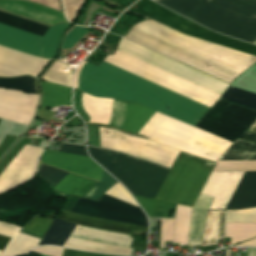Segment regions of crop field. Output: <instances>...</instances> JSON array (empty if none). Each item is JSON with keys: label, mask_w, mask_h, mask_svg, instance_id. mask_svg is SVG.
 <instances>
[{"label": "crop field", "mask_w": 256, "mask_h": 256, "mask_svg": "<svg viewBox=\"0 0 256 256\" xmlns=\"http://www.w3.org/2000/svg\"><path fill=\"white\" fill-rule=\"evenodd\" d=\"M134 196V195H133ZM145 210L147 216L168 217L170 210L175 211L176 205L143 197L134 196Z\"/></svg>", "instance_id": "obj_26"}, {"label": "crop field", "mask_w": 256, "mask_h": 256, "mask_svg": "<svg viewBox=\"0 0 256 256\" xmlns=\"http://www.w3.org/2000/svg\"><path fill=\"white\" fill-rule=\"evenodd\" d=\"M63 256H113V255L85 253V252H78V251H72V250L65 249Z\"/></svg>", "instance_id": "obj_37"}, {"label": "crop field", "mask_w": 256, "mask_h": 256, "mask_svg": "<svg viewBox=\"0 0 256 256\" xmlns=\"http://www.w3.org/2000/svg\"><path fill=\"white\" fill-rule=\"evenodd\" d=\"M135 5L139 6V9H134V5L131 6L126 12L135 14L144 19L152 18L180 33L190 35L196 38H200L209 42H213L219 45H223L232 49H236L242 52H246L252 55H256V46L227 38L221 34L211 32L189 20H186L171 11L149 1L140 0Z\"/></svg>", "instance_id": "obj_9"}, {"label": "crop field", "mask_w": 256, "mask_h": 256, "mask_svg": "<svg viewBox=\"0 0 256 256\" xmlns=\"http://www.w3.org/2000/svg\"><path fill=\"white\" fill-rule=\"evenodd\" d=\"M247 256H256V249L248 248Z\"/></svg>", "instance_id": "obj_42"}, {"label": "crop field", "mask_w": 256, "mask_h": 256, "mask_svg": "<svg viewBox=\"0 0 256 256\" xmlns=\"http://www.w3.org/2000/svg\"><path fill=\"white\" fill-rule=\"evenodd\" d=\"M37 101L38 95L0 89V118L28 125Z\"/></svg>", "instance_id": "obj_15"}, {"label": "crop field", "mask_w": 256, "mask_h": 256, "mask_svg": "<svg viewBox=\"0 0 256 256\" xmlns=\"http://www.w3.org/2000/svg\"><path fill=\"white\" fill-rule=\"evenodd\" d=\"M174 219H161L160 248L164 241H172Z\"/></svg>", "instance_id": "obj_34"}, {"label": "crop field", "mask_w": 256, "mask_h": 256, "mask_svg": "<svg viewBox=\"0 0 256 256\" xmlns=\"http://www.w3.org/2000/svg\"><path fill=\"white\" fill-rule=\"evenodd\" d=\"M236 246H251V247H256V238L251 239V240H249V241H246V242L241 243V244L236 245Z\"/></svg>", "instance_id": "obj_40"}, {"label": "crop field", "mask_w": 256, "mask_h": 256, "mask_svg": "<svg viewBox=\"0 0 256 256\" xmlns=\"http://www.w3.org/2000/svg\"><path fill=\"white\" fill-rule=\"evenodd\" d=\"M42 162L51 166L63 169L78 175L100 180L103 169L96 165L90 158L75 155L51 152L45 150L42 155ZM56 170L42 164L39 175L44 181ZM85 178L56 170L45 182L54 188L62 196H69L78 188ZM117 181L107 172H103L101 180L97 181L86 179L73 195L83 197L96 183V185L84 196L85 198L96 200L106 190Z\"/></svg>", "instance_id": "obj_5"}, {"label": "crop field", "mask_w": 256, "mask_h": 256, "mask_svg": "<svg viewBox=\"0 0 256 256\" xmlns=\"http://www.w3.org/2000/svg\"><path fill=\"white\" fill-rule=\"evenodd\" d=\"M50 224L51 221L36 215L31 222L23 230H21V233L42 239ZM74 227L75 224L55 219L41 240L39 246L45 244L62 246ZM63 246L78 250L96 251L126 256H129L132 250L71 237H68Z\"/></svg>", "instance_id": "obj_10"}, {"label": "crop field", "mask_w": 256, "mask_h": 256, "mask_svg": "<svg viewBox=\"0 0 256 256\" xmlns=\"http://www.w3.org/2000/svg\"><path fill=\"white\" fill-rule=\"evenodd\" d=\"M43 152L26 145L0 175V194L28 181L34 175L38 157Z\"/></svg>", "instance_id": "obj_14"}, {"label": "crop field", "mask_w": 256, "mask_h": 256, "mask_svg": "<svg viewBox=\"0 0 256 256\" xmlns=\"http://www.w3.org/2000/svg\"><path fill=\"white\" fill-rule=\"evenodd\" d=\"M192 208L177 205L173 243L187 245Z\"/></svg>", "instance_id": "obj_21"}, {"label": "crop field", "mask_w": 256, "mask_h": 256, "mask_svg": "<svg viewBox=\"0 0 256 256\" xmlns=\"http://www.w3.org/2000/svg\"><path fill=\"white\" fill-rule=\"evenodd\" d=\"M256 171V161H217L212 172Z\"/></svg>", "instance_id": "obj_29"}, {"label": "crop field", "mask_w": 256, "mask_h": 256, "mask_svg": "<svg viewBox=\"0 0 256 256\" xmlns=\"http://www.w3.org/2000/svg\"><path fill=\"white\" fill-rule=\"evenodd\" d=\"M218 33L252 43L256 38V0H155ZM253 44L256 45V39Z\"/></svg>", "instance_id": "obj_3"}, {"label": "crop field", "mask_w": 256, "mask_h": 256, "mask_svg": "<svg viewBox=\"0 0 256 256\" xmlns=\"http://www.w3.org/2000/svg\"><path fill=\"white\" fill-rule=\"evenodd\" d=\"M226 222L256 223V208L240 211H226Z\"/></svg>", "instance_id": "obj_31"}, {"label": "crop field", "mask_w": 256, "mask_h": 256, "mask_svg": "<svg viewBox=\"0 0 256 256\" xmlns=\"http://www.w3.org/2000/svg\"><path fill=\"white\" fill-rule=\"evenodd\" d=\"M42 91V105L44 108H53L59 105H71V92L69 88L60 85L40 82Z\"/></svg>", "instance_id": "obj_19"}, {"label": "crop field", "mask_w": 256, "mask_h": 256, "mask_svg": "<svg viewBox=\"0 0 256 256\" xmlns=\"http://www.w3.org/2000/svg\"><path fill=\"white\" fill-rule=\"evenodd\" d=\"M117 51L215 92L219 95L228 84L177 63L149 49L122 38ZM105 61L143 77L171 91L211 107L219 95L128 57L119 52ZM104 61V62H105ZM256 121V111L218 99L195 127L234 142Z\"/></svg>", "instance_id": "obj_1"}, {"label": "crop field", "mask_w": 256, "mask_h": 256, "mask_svg": "<svg viewBox=\"0 0 256 256\" xmlns=\"http://www.w3.org/2000/svg\"><path fill=\"white\" fill-rule=\"evenodd\" d=\"M49 61L50 60L41 59L29 54L0 46V64L7 65L32 74L38 75ZM3 65H0V76L13 77L23 74L32 75ZM36 75L32 76L36 77Z\"/></svg>", "instance_id": "obj_16"}, {"label": "crop field", "mask_w": 256, "mask_h": 256, "mask_svg": "<svg viewBox=\"0 0 256 256\" xmlns=\"http://www.w3.org/2000/svg\"><path fill=\"white\" fill-rule=\"evenodd\" d=\"M60 152L87 156L85 146H73V145L64 144Z\"/></svg>", "instance_id": "obj_36"}, {"label": "crop field", "mask_w": 256, "mask_h": 256, "mask_svg": "<svg viewBox=\"0 0 256 256\" xmlns=\"http://www.w3.org/2000/svg\"><path fill=\"white\" fill-rule=\"evenodd\" d=\"M130 33L166 50L242 73L256 57L180 34L151 19L134 25Z\"/></svg>", "instance_id": "obj_4"}, {"label": "crop field", "mask_w": 256, "mask_h": 256, "mask_svg": "<svg viewBox=\"0 0 256 256\" xmlns=\"http://www.w3.org/2000/svg\"><path fill=\"white\" fill-rule=\"evenodd\" d=\"M8 241H9V238L0 236V250L1 251L5 247V245L7 244Z\"/></svg>", "instance_id": "obj_41"}, {"label": "crop field", "mask_w": 256, "mask_h": 256, "mask_svg": "<svg viewBox=\"0 0 256 256\" xmlns=\"http://www.w3.org/2000/svg\"><path fill=\"white\" fill-rule=\"evenodd\" d=\"M105 193L139 207L136 202L131 198V196L127 193L124 187L118 182Z\"/></svg>", "instance_id": "obj_33"}, {"label": "crop field", "mask_w": 256, "mask_h": 256, "mask_svg": "<svg viewBox=\"0 0 256 256\" xmlns=\"http://www.w3.org/2000/svg\"><path fill=\"white\" fill-rule=\"evenodd\" d=\"M100 1H102V0H100ZM126 1L130 2L131 0H126Z\"/></svg>", "instance_id": "obj_44"}, {"label": "crop field", "mask_w": 256, "mask_h": 256, "mask_svg": "<svg viewBox=\"0 0 256 256\" xmlns=\"http://www.w3.org/2000/svg\"><path fill=\"white\" fill-rule=\"evenodd\" d=\"M80 105L88 117V122H97L109 125L112 115V100L95 98L81 92ZM153 110L138 104L125 102L124 116L121 129L136 133Z\"/></svg>", "instance_id": "obj_12"}, {"label": "crop field", "mask_w": 256, "mask_h": 256, "mask_svg": "<svg viewBox=\"0 0 256 256\" xmlns=\"http://www.w3.org/2000/svg\"><path fill=\"white\" fill-rule=\"evenodd\" d=\"M87 32V30L75 26L66 36L61 49L74 48L77 41Z\"/></svg>", "instance_id": "obj_32"}, {"label": "crop field", "mask_w": 256, "mask_h": 256, "mask_svg": "<svg viewBox=\"0 0 256 256\" xmlns=\"http://www.w3.org/2000/svg\"><path fill=\"white\" fill-rule=\"evenodd\" d=\"M70 211L91 217L148 226L146 216L141 209L105 194L96 202L79 198Z\"/></svg>", "instance_id": "obj_13"}, {"label": "crop field", "mask_w": 256, "mask_h": 256, "mask_svg": "<svg viewBox=\"0 0 256 256\" xmlns=\"http://www.w3.org/2000/svg\"><path fill=\"white\" fill-rule=\"evenodd\" d=\"M0 23L43 37L48 27L0 12Z\"/></svg>", "instance_id": "obj_23"}, {"label": "crop field", "mask_w": 256, "mask_h": 256, "mask_svg": "<svg viewBox=\"0 0 256 256\" xmlns=\"http://www.w3.org/2000/svg\"><path fill=\"white\" fill-rule=\"evenodd\" d=\"M32 1L46 5L50 8H53V9L59 11L57 0H32Z\"/></svg>", "instance_id": "obj_38"}, {"label": "crop field", "mask_w": 256, "mask_h": 256, "mask_svg": "<svg viewBox=\"0 0 256 256\" xmlns=\"http://www.w3.org/2000/svg\"><path fill=\"white\" fill-rule=\"evenodd\" d=\"M68 24H58L49 28L43 37L42 57L52 59L59 39Z\"/></svg>", "instance_id": "obj_25"}, {"label": "crop field", "mask_w": 256, "mask_h": 256, "mask_svg": "<svg viewBox=\"0 0 256 256\" xmlns=\"http://www.w3.org/2000/svg\"><path fill=\"white\" fill-rule=\"evenodd\" d=\"M0 45L41 57V37L1 24Z\"/></svg>", "instance_id": "obj_17"}, {"label": "crop field", "mask_w": 256, "mask_h": 256, "mask_svg": "<svg viewBox=\"0 0 256 256\" xmlns=\"http://www.w3.org/2000/svg\"><path fill=\"white\" fill-rule=\"evenodd\" d=\"M66 18L72 21L84 0H62Z\"/></svg>", "instance_id": "obj_35"}, {"label": "crop field", "mask_w": 256, "mask_h": 256, "mask_svg": "<svg viewBox=\"0 0 256 256\" xmlns=\"http://www.w3.org/2000/svg\"><path fill=\"white\" fill-rule=\"evenodd\" d=\"M58 219H62L79 225L104 229L128 235H130L132 228V225L130 224L91 218L63 210H61ZM79 225H77L73 232L70 234L71 237L102 242L127 248L130 247V244L132 242V239L129 238L128 235L103 231Z\"/></svg>", "instance_id": "obj_11"}, {"label": "crop field", "mask_w": 256, "mask_h": 256, "mask_svg": "<svg viewBox=\"0 0 256 256\" xmlns=\"http://www.w3.org/2000/svg\"><path fill=\"white\" fill-rule=\"evenodd\" d=\"M224 229V211H208L202 246L216 245V240L223 237Z\"/></svg>", "instance_id": "obj_20"}, {"label": "crop field", "mask_w": 256, "mask_h": 256, "mask_svg": "<svg viewBox=\"0 0 256 256\" xmlns=\"http://www.w3.org/2000/svg\"><path fill=\"white\" fill-rule=\"evenodd\" d=\"M0 87L36 94L33 78L29 76L0 78Z\"/></svg>", "instance_id": "obj_28"}, {"label": "crop field", "mask_w": 256, "mask_h": 256, "mask_svg": "<svg viewBox=\"0 0 256 256\" xmlns=\"http://www.w3.org/2000/svg\"><path fill=\"white\" fill-rule=\"evenodd\" d=\"M213 165L180 152L156 199L192 207Z\"/></svg>", "instance_id": "obj_7"}, {"label": "crop field", "mask_w": 256, "mask_h": 256, "mask_svg": "<svg viewBox=\"0 0 256 256\" xmlns=\"http://www.w3.org/2000/svg\"><path fill=\"white\" fill-rule=\"evenodd\" d=\"M225 256H230V250H226V255Z\"/></svg>", "instance_id": "obj_43"}, {"label": "crop field", "mask_w": 256, "mask_h": 256, "mask_svg": "<svg viewBox=\"0 0 256 256\" xmlns=\"http://www.w3.org/2000/svg\"><path fill=\"white\" fill-rule=\"evenodd\" d=\"M61 62L55 61L53 65L45 72L42 80L72 87V77L55 70Z\"/></svg>", "instance_id": "obj_30"}, {"label": "crop field", "mask_w": 256, "mask_h": 256, "mask_svg": "<svg viewBox=\"0 0 256 256\" xmlns=\"http://www.w3.org/2000/svg\"><path fill=\"white\" fill-rule=\"evenodd\" d=\"M241 139L256 142V133H245Z\"/></svg>", "instance_id": "obj_39"}, {"label": "crop field", "mask_w": 256, "mask_h": 256, "mask_svg": "<svg viewBox=\"0 0 256 256\" xmlns=\"http://www.w3.org/2000/svg\"><path fill=\"white\" fill-rule=\"evenodd\" d=\"M256 236V224L226 223L225 237H231V245Z\"/></svg>", "instance_id": "obj_24"}, {"label": "crop field", "mask_w": 256, "mask_h": 256, "mask_svg": "<svg viewBox=\"0 0 256 256\" xmlns=\"http://www.w3.org/2000/svg\"><path fill=\"white\" fill-rule=\"evenodd\" d=\"M243 172L210 173L201 194L215 197L210 209H225ZM256 206V172H244L226 209Z\"/></svg>", "instance_id": "obj_8"}, {"label": "crop field", "mask_w": 256, "mask_h": 256, "mask_svg": "<svg viewBox=\"0 0 256 256\" xmlns=\"http://www.w3.org/2000/svg\"><path fill=\"white\" fill-rule=\"evenodd\" d=\"M90 156L114 175L132 194L154 199L169 169L131 156L88 147Z\"/></svg>", "instance_id": "obj_6"}, {"label": "crop field", "mask_w": 256, "mask_h": 256, "mask_svg": "<svg viewBox=\"0 0 256 256\" xmlns=\"http://www.w3.org/2000/svg\"><path fill=\"white\" fill-rule=\"evenodd\" d=\"M218 160H256V145L237 139Z\"/></svg>", "instance_id": "obj_22"}, {"label": "crop field", "mask_w": 256, "mask_h": 256, "mask_svg": "<svg viewBox=\"0 0 256 256\" xmlns=\"http://www.w3.org/2000/svg\"><path fill=\"white\" fill-rule=\"evenodd\" d=\"M19 227L0 221V235L11 238L0 256L22 254L35 248L40 240L18 233Z\"/></svg>", "instance_id": "obj_18"}, {"label": "crop field", "mask_w": 256, "mask_h": 256, "mask_svg": "<svg viewBox=\"0 0 256 256\" xmlns=\"http://www.w3.org/2000/svg\"><path fill=\"white\" fill-rule=\"evenodd\" d=\"M1 252V251H0Z\"/></svg>", "instance_id": "obj_45"}, {"label": "crop field", "mask_w": 256, "mask_h": 256, "mask_svg": "<svg viewBox=\"0 0 256 256\" xmlns=\"http://www.w3.org/2000/svg\"><path fill=\"white\" fill-rule=\"evenodd\" d=\"M221 99L256 109V94L229 87Z\"/></svg>", "instance_id": "obj_27"}, {"label": "crop field", "mask_w": 256, "mask_h": 256, "mask_svg": "<svg viewBox=\"0 0 256 256\" xmlns=\"http://www.w3.org/2000/svg\"><path fill=\"white\" fill-rule=\"evenodd\" d=\"M78 89L135 102L192 126L209 109L104 61L98 67L86 62L79 73Z\"/></svg>", "instance_id": "obj_2"}]
</instances>
